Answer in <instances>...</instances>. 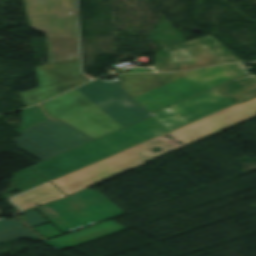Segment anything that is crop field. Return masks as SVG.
Masks as SVG:
<instances>
[{
	"mask_svg": "<svg viewBox=\"0 0 256 256\" xmlns=\"http://www.w3.org/2000/svg\"><path fill=\"white\" fill-rule=\"evenodd\" d=\"M120 81L94 80L42 104L50 117L61 119L93 103L133 124L176 103L157 74L119 75Z\"/></svg>",
	"mask_w": 256,
	"mask_h": 256,
	"instance_id": "crop-field-1",
	"label": "crop field"
},
{
	"mask_svg": "<svg viewBox=\"0 0 256 256\" xmlns=\"http://www.w3.org/2000/svg\"><path fill=\"white\" fill-rule=\"evenodd\" d=\"M254 116H256V97L172 132L176 137L174 140L158 137L104 161L54 180L52 183L69 196ZM177 140L186 144L180 146L176 142ZM153 146H157L163 151L151 154L149 148Z\"/></svg>",
	"mask_w": 256,
	"mask_h": 256,
	"instance_id": "crop-field-2",
	"label": "crop field"
},
{
	"mask_svg": "<svg viewBox=\"0 0 256 256\" xmlns=\"http://www.w3.org/2000/svg\"><path fill=\"white\" fill-rule=\"evenodd\" d=\"M171 131L151 117L116 133L102 137L41 162L33 168L49 180L79 169L125 148Z\"/></svg>",
	"mask_w": 256,
	"mask_h": 256,
	"instance_id": "crop-field-3",
	"label": "crop field"
},
{
	"mask_svg": "<svg viewBox=\"0 0 256 256\" xmlns=\"http://www.w3.org/2000/svg\"><path fill=\"white\" fill-rule=\"evenodd\" d=\"M254 95L256 75L252 74L155 112L153 115L173 130Z\"/></svg>",
	"mask_w": 256,
	"mask_h": 256,
	"instance_id": "crop-field-4",
	"label": "crop field"
},
{
	"mask_svg": "<svg viewBox=\"0 0 256 256\" xmlns=\"http://www.w3.org/2000/svg\"><path fill=\"white\" fill-rule=\"evenodd\" d=\"M36 210L64 233L124 213L100 192L87 189Z\"/></svg>",
	"mask_w": 256,
	"mask_h": 256,
	"instance_id": "crop-field-5",
	"label": "crop field"
},
{
	"mask_svg": "<svg viewBox=\"0 0 256 256\" xmlns=\"http://www.w3.org/2000/svg\"><path fill=\"white\" fill-rule=\"evenodd\" d=\"M239 61V58L209 35L158 51L154 66L158 71H182Z\"/></svg>",
	"mask_w": 256,
	"mask_h": 256,
	"instance_id": "crop-field-6",
	"label": "crop field"
},
{
	"mask_svg": "<svg viewBox=\"0 0 256 256\" xmlns=\"http://www.w3.org/2000/svg\"><path fill=\"white\" fill-rule=\"evenodd\" d=\"M12 142L19 149L44 161L92 140L85 134L52 118L21 133Z\"/></svg>",
	"mask_w": 256,
	"mask_h": 256,
	"instance_id": "crop-field-7",
	"label": "crop field"
},
{
	"mask_svg": "<svg viewBox=\"0 0 256 256\" xmlns=\"http://www.w3.org/2000/svg\"><path fill=\"white\" fill-rule=\"evenodd\" d=\"M246 74L249 72L243 64H235L158 75L179 102L232 78Z\"/></svg>",
	"mask_w": 256,
	"mask_h": 256,
	"instance_id": "crop-field-8",
	"label": "crop field"
},
{
	"mask_svg": "<svg viewBox=\"0 0 256 256\" xmlns=\"http://www.w3.org/2000/svg\"><path fill=\"white\" fill-rule=\"evenodd\" d=\"M25 5L31 28L47 38L77 37L74 0H25Z\"/></svg>",
	"mask_w": 256,
	"mask_h": 256,
	"instance_id": "crop-field-9",
	"label": "crop field"
},
{
	"mask_svg": "<svg viewBox=\"0 0 256 256\" xmlns=\"http://www.w3.org/2000/svg\"><path fill=\"white\" fill-rule=\"evenodd\" d=\"M39 87L19 93L26 106L32 105L78 86L89 79L79 72V62L36 69Z\"/></svg>",
	"mask_w": 256,
	"mask_h": 256,
	"instance_id": "crop-field-10",
	"label": "crop field"
},
{
	"mask_svg": "<svg viewBox=\"0 0 256 256\" xmlns=\"http://www.w3.org/2000/svg\"><path fill=\"white\" fill-rule=\"evenodd\" d=\"M61 120L94 139L130 125L95 104Z\"/></svg>",
	"mask_w": 256,
	"mask_h": 256,
	"instance_id": "crop-field-11",
	"label": "crop field"
},
{
	"mask_svg": "<svg viewBox=\"0 0 256 256\" xmlns=\"http://www.w3.org/2000/svg\"><path fill=\"white\" fill-rule=\"evenodd\" d=\"M126 229L125 227L109 220L91 227H87L55 239L43 242L58 250L69 248L120 230Z\"/></svg>",
	"mask_w": 256,
	"mask_h": 256,
	"instance_id": "crop-field-12",
	"label": "crop field"
},
{
	"mask_svg": "<svg viewBox=\"0 0 256 256\" xmlns=\"http://www.w3.org/2000/svg\"><path fill=\"white\" fill-rule=\"evenodd\" d=\"M47 43L49 63L78 58L76 38L47 39Z\"/></svg>",
	"mask_w": 256,
	"mask_h": 256,
	"instance_id": "crop-field-13",
	"label": "crop field"
},
{
	"mask_svg": "<svg viewBox=\"0 0 256 256\" xmlns=\"http://www.w3.org/2000/svg\"><path fill=\"white\" fill-rule=\"evenodd\" d=\"M63 194L50 183L23 193L24 196L37 206L63 198L65 197Z\"/></svg>",
	"mask_w": 256,
	"mask_h": 256,
	"instance_id": "crop-field-14",
	"label": "crop field"
},
{
	"mask_svg": "<svg viewBox=\"0 0 256 256\" xmlns=\"http://www.w3.org/2000/svg\"><path fill=\"white\" fill-rule=\"evenodd\" d=\"M13 175L17 176L18 179H14L12 181L16 183L24 191L47 182L46 179H44L40 174H38L31 167L24 169L22 171L16 172Z\"/></svg>",
	"mask_w": 256,
	"mask_h": 256,
	"instance_id": "crop-field-15",
	"label": "crop field"
},
{
	"mask_svg": "<svg viewBox=\"0 0 256 256\" xmlns=\"http://www.w3.org/2000/svg\"><path fill=\"white\" fill-rule=\"evenodd\" d=\"M22 111H23V126L21 128L14 130L17 133L47 119V116L43 112L40 105L30 107Z\"/></svg>",
	"mask_w": 256,
	"mask_h": 256,
	"instance_id": "crop-field-16",
	"label": "crop field"
},
{
	"mask_svg": "<svg viewBox=\"0 0 256 256\" xmlns=\"http://www.w3.org/2000/svg\"><path fill=\"white\" fill-rule=\"evenodd\" d=\"M18 238H27L32 240H42L30 229L23 227L13 231H9L3 234H0V243L18 239Z\"/></svg>",
	"mask_w": 256,
	"mask_h": 256,
	"instance_id": "crop-field-17",
	"label": "crop field"
},
{
	"mask_svg": "<svg viewBox=\"0 0 256 256\" xmlns=\"http://www.w3.org/2000/svg\"><path fill=\"white\" fill-rule=\"evenodd\" d=\"M28 218L23 219L26 223H28L31 227L39 225L41 223L47 222L42 216H40L34 210H30L27 212H23Z\"/></svg>",
	"mask_w": 256,
	"mask_h": 256,
	"instance_id": "crop-field-18",
	"label": "crop field"
},
{
	"mask_svg": "<svg viewBox=\"0 0 256 256\" xmlns=\"http://www.w3.org/2000/svg\"><path fill=\"white\" fill-rule=\"evenodd\" d=\"M36 231H38L40 234H42L44 237L48 238L54 235L61 234L60 231H58L54 226H52L50 223L44 224L41 226L33 227Z\"/></svg>",
	"mask_w": 256,
	"mask_h": 256,
	"instance_id": "crop-field-19",
	"label": "crop field"
},
{
	"mask_svg": "<svg viewBox=\"0 0 256 256\" xmlns=\"http://www.w3.org/2000/svg\"><path fill=\"white\" fill-rule=\"evenodd\" d=\"M20 226L23 224L18 220L2 219L0 220V233Z\"/></svg>",
	"mask_w": 256,
	"mask_h": 256,
	"instance_id": "crop-field-20",
	"label": "crop field"
},
{
	"mask_svg": "<svg viewBox=\"0 0 256 256\" xmlns=\"http://www.w3.org/2000/svg\"><path fill=\"white\" fill-rule=\"evenodd\" d=\"M12 201H13L14 203H16V204H17L20 208H22L23 210L36 207V205H34L31 201H29V200H28L26 197H24L23 195L17 196V197H15V198H13Z\"/></svg>",
	"mask_w": 256,
	"mask_h": 256,
	"instance_id": "crop-field-21",
	"label": "crop field"
},
{
	"mask_svg": "<svg viewBox=\"0 0 256 256\" xmlns=\"http://www.w3.org/2000/svg\"><path fill=\"white\" fill-rule=\"evenodd\" d=\"M129 72H153V70L146 69V68H135V69L129 70Z\"/></svg>",
	"mask_w": 256,
	"mask_h": 256,
	"instance_id": "crop-field-22",
	"label": "crop field"
},
{
	"mask_svg": "<svg viewBox=\"0 0 256 256\" xmlns=\"http://www.w3.org/2000/svg\"><path fill=\"white\" fill-rule=\"evenodd\" d=\"M78 60V59H76ZM76 60H70V61H76ZM70 61H64V62H58V63H52V64H46V65H42V66H38V67H44V66H49V65H54V64H60V63H65V62H70ZM36 67V68H38Z\"/></svg>",
	"mask_w": 256,
	"mask_h": 256,
	"instance_id": "crop-field-23",
	"label": "crop field"
},
{
	"mask_svg": "<svg viewBox=\"0 0 256 256\" xmlns=\"http://www.w3.org/2000/svg\"><path fill=\"white\" fill-rule=\"evenodd\" d=\"M129 69H131V68H129Z\"/></svg>",
	"mask_w": 256,
	"mask_h": 256,
	"instance_id": "crop-field-24",
	"label": "crop field"
}]
</instances>
